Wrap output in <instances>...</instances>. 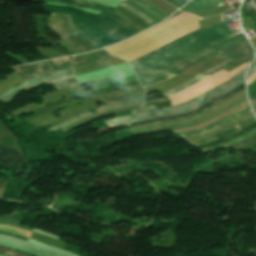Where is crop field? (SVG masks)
<instances>
[{"label": "crop field", "instance_id": "1", "mask_svg": "<svg viewBox=\"0 0 256 256\" xmlns=\"http://www.w3.org/2000/svg\"><path fill=\"white\" fill-rule=\"evenodd\" d=\"M210 45L195 32L178 38L169 44L133 61H130L138 78L156 73L195 54Z\"/></svg>", "mask_w": 256, "mask_h": 256}, {"label": "crop field", "instance_id": "2", "mask_svg": "<svg viewBox=\"0 0 256 256\" xmlns=\"http://www.w3.org/2000/svg\"><path fill=\"white\" fill-rule=\"evenodd\" d=\"M244 71L245 69L239 72L238 74H236L233 78H231L226 83L183 104L173 106V107L159 108V109H156L153 105H150V106L142 107L141 109H138V110L130 111L131 115L117 117V118L108 120L106 122L112 128H114L117 126H121L122 124L133 122V121L145 120V119H150L155 117H162V116H168V115H174V114L192 111L204 105L211 99L229 92L231 89L235 88L236 86L244 82V78H243Z\"/></svg>", "mask_w": 256, "mask_h": 256}, {"label": "crop field", "instance_id": "3", "mask_svg": "<svg viewBox=\"0 0 256 256\" xmlns=\"http://www.w3.org/2000/svg\"><path fill=\"white\" fill-rule=\"evenodd\" d=\"M195 17L196 16H193L191 14L181 13L156 27L143 32L142 34H140L128 41L121 42V43L106 47V49L109 53L115 55V54H119V53H122V52H125L128 50L137 48V47L165 34L166 32L182 25L183 23H185Z\"/></svg>", "mask_w": 256, "mask_h": 256}, {"label": "crop field", "instance_id": "4", "mask_svg": "<svg viewBox=\"0 0 256 256\" xmlns=\"http://www.w3.org/2000/svg\"><path fill=\"white\" fill-rule=\"evenodd\" d=\"M51 28L53 31L68 42L71 46L80 52L90 51L100 48L93 40L85 36L72 25L70 15L65 14H52L51 15Z\"/></svg>", "mask_w": 256, "mask_h": 256}, {"label": "crop field", "instance_id": "5", "mask_svg": "<svg viewBox=\"0 0 256 256\" xmlns=\"http://www.w3.org/2000/svg\"><path fill=\"white\" fill-rule=\"evenodd\" d=\"M198 20H200L199 17L183 24L182 26L174 29L173 31L135 49V50H132V51H128V52H125V53H122V54H119V55H116L120 58H124L128 61L130 60H133V59H136L140 56H143L153 50H155L156 48L184 35V34H187L191 31H194V30H197L199 29V25H198Z\"/></svg>", "mask_w": 256, "mask_h": 256}, {"label": "crop field", "instance_id": "6", "mask_svg": "<svg viewBox=\"0 0 256 256\" xmlns=\"http://www.w3.org/2000/svg\"><path fill=\"white\" fill-rule=\"evenodd\" d=\"M247 65H248V63H246L240 67H237L230 73L221 70V71L213 74L212 76L200 81L199 83L192 86L191 88L169 97V99L171 100L172 105L179 104V103L185 102L189 99H192V98L200 95L201 93L229 80L236 73H238L239 71H241L242 69L247 67Z\"/></svg>", "mask_w": 256, "mask_h": 256}, {"label": "crop field", "instance_id": "7", "mask_svg": "<svg viewBox=\"0 0 256 256\" xmlns=\"http://www.w3.org/2000/svg\"><path fill=\"white\" fill-rule=\"evenodd\" d=\"M70 76H73L71 67L67 68V69H63V70L49 72L47 74H42L34 79H31L29 81H26V82L20 84L17 87H15L14 89L0 95V100L9 102V101H11V99L13 97H15L22 90L39 87L40 85H42L46 82H50V81H54L57 79L70 77Z\"/></svg>", "mask_w": 256, "mask_h": 256}, {"label": "crop field", "instance_id": "8", "mask_svg": "<svg viewBox=\"0 0 256 256\" xmlns=\"http://www.w3.org/2000/svg\"><path fill=\"white\" fill-rule=\"evenodd\" d=\"M121 6L135 13L151 26L168 17L143 0H126L122 2Z\"/></svg>", "mask_w": 256, "mask_h": 256}, {"label": "crop field", "instance_id": "9", "mask_svg": "<svg viewBox=\"0 0 256 256\" xmlns=\"http://www.w3.org/2000/svg\"><path fill=\"white\" fill-rule=\"evenodd\" d=\"M26 162L24 154L0 145V168L21 174Z\"/></svg>", "mask_w": 256, "mask_h": 256}, {"label": "crop field", "instance_id": "10", "mask_svg": "<svg viewBox=\"0 0 256 256\" xmlns=\"http://www.w3.org/2000/svg\"><path fill=\"white\" fill-rule=\"evenodd\" d=\"M244 89V83H242L241 85H239L238 87H236L234 90H232L231 92L218 97L212 101H210L209 103L205 104L204 106L189 112V113H185V114H180V115H175V116H170V117H164V118H158V119H151V120H146V121H142V122H138V123H133V124H128L129 126L133 127V126H140V125H144V124H149V123H155V122H160V121H165V120H171V119H177V118H183V117H188V116H192L195 115L197 113H199L200 111H202L203 109L210 107L212 105H215L227 98H230L234 95H236L237 93H239L241 90Z\"/></svg>", "mask_w": 256, "mask_h": 256}, {"label": "crop field", "instance_id": "11", "mask_svg": "<svg viewBox=\"0 0 256 256\" xmlns=\"http://www.w3.org/2000/svg\"><path fill=\"white\" fill-rule=\"evenodd\" d=\"M218 52L222 56H224L229 62L235 61V60H238V59H242V58L248 57V56L253 54L252 49H251V47H250V45L248 44L247 41L243 42V43H240V44L232 45V46L227 47V48H225L223 50H220ZM238 61H240V60H238ZM238 61H235V62H238ZM232 63H234V62H232Z\"/></svg>", "mask_w": 256, "mask_h": 256}, {"label": "crop field", "instance_id": "12", "mask_svg": "<svg viewBox=\"0 0 256 256\" xmlns=\"http://www.w3.org/2000/svg\"><path fill=\"white\" fill-rule=\"evenodd\" d=\"M145 98V97H144ZM144 98H140V99H137V100H134V101H128V102H122V103H118V104H114V105H105V106H101L97 109H94L92 111H89V112H85V113H81L75 117H72L52 128H50V130H57L61 127H64L76 120H79L87 115H90V114H94V113H98V112H102V111H105V110H108V109H113V108H118V107H121V106H125V105H129V104H134V103H140V102H143L144 101Z\"/></svg>", "mask_w": 256, "mask_h": 256}, {"label": "crop field", "instance_id": "13", "mask_svg": "<svg viewBox=\"0 0 256 256\" xmlns=\"http://www.w3.org/2000/svg\"><path fill=\"white\" fill-rule=\"evenodd\" d=\"M199 32L209 44L231 36L228 33L225 25L220 26L219 23L214 26L199 30Z\"/></svg>", "mask_w": 256, "mask_h": 256}, {"label": "crop field", "instance_id": "14", "mask_svg": "<svg viewBox=\"0 0 256 256\" xmlns=\"http://www.w3.org/2000/svg\"><path fill=\"white\" fill-rule=\"evenodd\" d=\"M228 65H230V63L228 61H226V62H224V63H222V64H220V65H218V66H216V67H214V68H212V69H210V70H208V71H206V72H204V73H202V74H200L198 76H196L195 78H193V79H191V80L181 84L180 86H178V87H176V88H174L172 90H169V91H167L165 93H162V94H164L166 96H169V95H173V94H175L177 92H180V91H182V90H184V89L194 85L195 83H197L201 79H203V78H205V77L215 73L216 71H218L220 69L225 68Z\"/></svg>", "mask_w": 256, "mask_h": 256}, {"label": "crop field", "instance_id": "15", "mask_svg": "<svg viewBox=\"0 0 256 256\" xmlns=\"http://www.w3.org/2000/svg\"><path fill=\"white\" fill-rule=\"evenodd\" d=\"M248 111H250V109H249V107H246V108H244V109L238 111V112L235 113L234 115L229 116V117H227V118H224V119H222V120H220V121H218V122H216V123H214V124H212V125H210V126L204 128V129L196 130V131H191V132H187V133H181V135H182L183 137H187V136L202 134V133L211 131V130H213V129L219 127V126H222V125H224V124H226V123H229V122H231V121L237 119L239 116H241L242 114H244V113H246V112H248Z\"/></svg>", "mask_w": 256, "mask_h": 256}, {"label": "crop field", "instance_id": "16", "mask_svg": "<svg viewBox=\"0 0 256 256\" xmlns=\"http://www.w3.org/2000/svg\"><path fill=\"white\" fill-rule=\"evenodd\" d=\"M0 144L10 149L22 152L13 132L0 122Z\"/></svg>", "mask_w": 256, "mask_h": 256}, {"label": "crop field", "instance_id": "17", "mask_svg": "<svg viewBox=\"0 0 256 256\" xmlns=\"http://www.w3.org/2000/svg\"><path fill=\"white\" fill-rule=\"evenodd\" d=\"M213 50L214 49L212 47H210V48H208V49H206V50H204L202 52H199V53H197V54H195V55H193L191 57H188V58L184 59L183 61L173 65L172 67H170L167 70L161 71V72H159L157 74H154V75H151V76H147V77L141 78L138 81H140V83H142V82L149 81L151 79L157 78L159 76H162L164 74H167L169 72H172V71L176 70L178 67L182 66L183 64L188 63V62H190V61H192V60H194V59H196V58H198L200 56H203V55H205V54H207V53H209V52H211Z\"/></svg>", "mask_w": 256, "mask_h": 256}, {"label": "crop field", "instance_id": "18", "mask_svg": "<svg viewBox=\"0 0 256 256\" xmlns=\"http://www.w3.org/2000/svg\"><path fill=\"white\" fill-rule=\"evenodd\" d=\"M216 54H218L216 51H214V52H212V53H209V54L205 55L204 57H200V58L194 60L193 62H191V63H189V64H186V65L180 67L179 69H177V70L174 71L173 73L167 74V75H165V76H163V77H160V78H158V79L152 80V81H150V82L143 83L142 85H143L144 87H146V86H150V85H153V84H155V83L164 81V80H166V79H169V78L175 76L176 74H178V73H180V72H182V71L188 69L189 67H191V66H193V65H195V64H197V63H199V62H202V61H204V60H206V59H208V58H210V57H212V56H214V55H216Z\"/></svg>", "mask_w": 256, "mask_h": 256}, {"label": "crop field", "instance_id": "19", "mask_svg": "<svg viewBox=\"0 0 256 256\" xmlns=\"http://www.w3.org/2000/svg\"><path fill=\"white\" fill-rule=\"evenodd\" d=\"M143 96H145L144 89H139L137 91H130V92L115 95V96L103 97L102 100L105 103L110 104V103L130 100V99H137Z\"/></svg>", "mask_w": 256, "mask_h": 256}, {"label": "crop field", "instance_id": "20", "mask_svg": "<svg viewBox=\"0 0 256 256\" xmlns=\"http://www.w3.org/2000/svg\"><path fill=\"white\" fill-rule=\"evenodd\" d=\"M73 56L54 59L52 61L41 62L40 65L42 66L45 72L63 69L71 66V60Z\"/></svg>", "mask_w": 256, "mask_h": 256}, {"label": "crop field", "instance_id": "21", "mask_svg": "<svg viewBox=\"0 0 256 256\" xmlns=\"http://www.w3.org/2000/svg\"><path fill=\"white\" fill-rule=\"evenodd\" d=\"M222 2L224 0H193L188 5L199 12Z\"/></svg>", "mask_w": 256, "mask_h": 256}, {"label": "crop field", "instance_id": "22", "mask_svg": "<svg viewBox=\"0 0 256 256\" xmlns=\"http://www.w3.org/2000/svg\"><path fill=\"white\" fill-rule=\"evenodd\" d=\"M245 37L243 34L241 35H238V36H234V37H230V38H227L225 40H222L220 42H217L215 44H212L211 46L215 49V50H218V49H221V48H224V47H227L229 45H232V44H235V43H239V42H243L245 41Z\"/></svg>", "mask_w": 256, "mask_h": 256}, {"label": "crop field", "instance_id": "23", "mask_svg": "<svg viewBox=\"0 0 256 256\" xmlns=\"http://www.w3.org/2000/svg\"><path fill=\"white\" fill-rule=\"evenodd\" d=\"M239 130V126H234L233 128L229 129V130H226L224 132H221V133H218L212 137H209V138H206V139H203V140H196V141H190V143L194 144V145H198V144H203V143H208V142H211L213 140H216L218 138H221V137H225L231 133H234L236 131Z\"/></svg>", "mask_w": 256, "mask_h": 256}, {"label": "crop field", "instance_id": "24", "mask_svg": "<svg viewBox=\"0 0 256 256\" xmlns=\"http://www.w3.org/2000/svg\"><path fill=\"white\" fill-rule=\"evenodd\" d=\"M146 1L156 6L158 9H160L162 12H164L168 16L177 10L174 7L167 4L166 2H164L163 0H146Z\"/></svg>", "mask_w": 256, "mask_h": 256}, {"label": "crop field", "instance_id": "25", "mask_svg": "<svg viewBox=\"0 0 256 256\" xmlns=\"http://www.w3.org/2000/svg\"><path fill=\"white\" fill-rule=\"evenodd\" d=\"M48 84L56 87L57 89H61V88L73 86V85L77 84V82L74 79V77H70V78H65V79H62V80L54 81V82H51V83H48Z\"/></svg>", "mask_w": 256, "mask_h": 256}, {"label": "crop field", "instance_id": "26", "mask_svg": "<svg viewBox=\"0 0 256 256\" xmlns=\"http://www.w3.org/2000/svg\"><path fill=\"white\" fill-rule=\"evenodd\" d=\"M0 230L27 236V237H30V235H31V232H29V231H25L22 229H18V228L6 226V225H0Z\"/></svg>", "mask_w": 256, "mask_h": 256}, {"label": "crop field", "instance_id": "27", "mask_svg": "<svg viewBox=\"0 0 256 256\" xmlns=\"http://www.w3.org/2000/svg\"><path fill=\"white\" fill-rule=\"evenodd\" d=\"M135 79H136V75L125 78V79H122V80H119V81L106 82V83H102V84H99V85H95V86H93V88L96 89V88L106 87V86H111V85H119V84L129 82V81H132V80H135Z\"/></svg>", "mask_w": 256, "mask_h": 256}, {"label": "crop field", "instance_id": "28", "mask_svg": "<svg viewBox=\"0 0 256 256\" xmlns=\"http://www.w3.org/2000/svg\"><path fill=\"white\" fill-rule=\"evenodd\" d=\"M61 1H68V2H73V3H78V4L97 6V7L108 8V9L113 10V8L108 7V6H106V5L91 3V2H88V1H84V0H61Z\"/></svg>", "mask_w": 256, "mask_h": 256}, {"label": "crop field", "instance_id": "29", "mask_svg": "<svg viewBox=\"0 0 256 256\" xmlns=\"http://www.w3.org/2000/svg\"><path fill=\"white\" fill-rule=\"evenodd\" d=\"M255 133H256V129H254V130L248 132L247 134H245V135H243V136H241V137H239V138H237V139H234V140L229 141V142H228V146H229V145H232V144H234V143H236V142H238V141H240V140L246 139V138L250 137L251 135H253V134H255Z\"/></svg>", "mask_w": 256, "mask_h": 256}, {"label": "crop field", "instance_id": "30", "mask_svg": "<svg viewBox=\"0 0 256 256\" xmlns=\"http://www.w3.org/2000/svg\"><path fill=\"white\" fill-rule=\"evenodd\" d=\"M255 140H256V134H255L254 136H252L251 138H249V139L243 140V141H241V142H238V143L232 145V147H234L235 149H237V148H239V147H241V146H243V145H246V144H248V143H250V142H253V141H255Z\"/></svg>", "mask_w": 256, "mask_h": 256}, {"label": "crop field", "instance_id": "31", "mask_svg": "<svg viewBox=\"0 0 256 256\" xmlns=\"http://www.w3.org/2000/svg\"><path fill=\"white\" fill-rule=\"evenodd\" d=\"M248 97H252L256 93V80L247 86Z\"/></svg>", "mask_w": 256, "mask_h": 256}, {"label": "crop field", "instance_id": "32", "mask_svg": "<svg viewBox=\"0 0 256 256\" xmlns=\"http://www.w3.org/2000/svg\"><path fill=\"white\" fill-rule=\"evenodd\" d=\"M167 1H169L171 4H173L177 8L181 7L187 2L185 0H167Z\"/></svg>", "mask_w": 256, "mask_h": 256}, {"label": "crop field", "instance_id": "33", "mask_svg": "<svg viewBox=\"0 0 256 256\" xmlns=\"http://www.w3.org/2000/svg\"><path fill=\"white\" fill-rule=\"evenodd\" d=\"M5 256H30L17 250L8 252Z\"/></svg>", "mask_w": 256, "mask_h": 256}, {"label": "crop field", "instance_id": "34", "mask_svg": "<svg viewBox=\"0 0 256 256\" xmlns=\"http://www.w3.org/2000/svg\"><path fill=\"white\" fill-rule=\"evenodd\" d=\"M224 147H226V143L221 144V145H217V146H214V147L202 149V150L205 151V152H208V151H213V150L221 149V148H224Z\"/></svg>", "mask_w": 256, "mask_h": 256}, {"label": "crop field", "instance_id": "35", "mask_svg": "<svg viewBox=\"0 0 256 256\" xmlns=\"http://www.w3.org/2000/svg\"><path fill=\"white\" fill-rule=\"evenodd\" d=\"M0 224L11 225V226H15V227H18V228H22V229H26V230H30V231H32V229H31V228H29V227H25V226H22V225H18V224L5 223V222H0Z\"/></svg>", "mask_w": 256, "mask_h": 256}, {"label": "crop field", "instance_id": "36", "mask_svg": "<svg viewBox=\"0 0 256 256\" xmlns=\"http://www.w3.org/2000/svg\"><path fill=\"white\" fill-rule=\"evenodd\" d=\"M7 182H8V180H6V179H0V196L7 184Z\"/></svg>", "mask_w": 256, "mask_h": 256}, {"label": "crop field", "instance_id": "37", "mask_svg": "<svg viewBox=\"0 0 256 256\" xmlns=\"http://www.w3.org/2000/svg\"><path fill=\"white\" fill-rule=\"evenodd\" d=\"M10 250H12V248L0 245V255L4 256V254Z\"/></svg>", "mask_w": 256, "mask_h": 256}, {"label": "crop field", "instance_id": "38", "mask_svg": "<svg viewBox=\"0 0 256 256\" xmlns=\"http://www.w3.org/2000/svg\"><path fill=\"white\" fill-rule=\"evenodd\" d=\"M0 234L12 236V237H15V238H18V239H21V240H27L28 239L26 237H21V236H17V235H14V234L6 233V232H1V231H0Z\"/></svg>", "mask_w": 256, "mask_h": 256}, {"label": "crop field", "instance_id": "39", "mask_svg": "<svg viewBox=\"0 0 256 256\" xmlns=\"http://www.w3.org/2000/svg\"><path fill=\"white\" fill-rule=\"evenodd\" d=\"M248 71H249V70H248ZM254 71H256V61H255V63L251 66L250 71H249V73H248V77H249Z\"/></svg>", "mask_w": 256, "mask_h": 256}, {"label": "crop field", "instance_id": "40", "mask_svg": "<svg viewBox=\"0 0 256 256\" xmlns=\"http://www.w3.org/2000/svg\"><path fill=\"white\" fill-rule=\"evenodd\" d=\"M256 100V94L250 99L251 103H253Z\"/></svg>", "mask_w": 256, "mask_h": 256}, {"label": "crop field", "instance_id": "41", "mask_svg": "<svg viewBox=\"0 0 256 256\" xmlns=\"http://www.w3.org/2000/svg\"><path fill=\"white\" fill-rule=\"evenodd\" d=\"M251 105H252L253 109L256 108V101Z\"/></svg>", "mask_w": 256, "mask_h": 256}, {"label": "crop field", "instance_id": "42", "mask_svg": "<svg viewBox=\"0 0 256 256\" xmlns=\"http://www.w3.org/2000/svg\"><path fill=\"white\" fill-rule=\"evenodd\" d=\"M224 14V13H223ZM223 14H222V21H223Z\"/></svg>", "mask_w": 256, "mask_h": 256}, {"label": "crop field", "instance_id": "43", "mask_svg": "<svg viewBox=\"0 0 256 256\" xmlns=\"http://www.w3.org/2000/svg\"><path fill=\"white\" fill-rule=\"evenodd\" d=\"M255 113H256V109H254Z\"/></svg>", "mask_w": 256, "mask_h": 256}]
</instances>
